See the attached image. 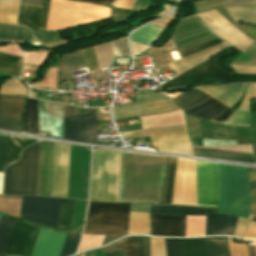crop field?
Returning a JSON list of instances; mask_svg holds the SVG:
<instances>
[{
  "label": "crop field",
  "instance_id": "obj_20",
  "mask_svg": "<svg viewBox=\"0 0 256 256\" xmlns=\"http://www.w3.org/2000/svg\"><path fill=\"white\" fill-rule=\"evenodd\" d=\"M216 208H202L190 206L175 205H151V214L161 215H205V213H214Z\"/></svg>",
  "mask_w": 256,
  "mask_h": 256
},
{
  "label": "crop field",
  "instance_id": "obj_19",
  "mask_svg": "<svg viewBox=\"0 0 256 256\" xmlns=\"http://www.w3.org/2000/svg\"><path fill=\"white\" fill-rule=\"evenodd\" d=\"M80 142L97 144L96 108L86 109V114H79Z\"/></svg>",
  "mask_w": 256,
  "mask_h": 256
},
{
  "label": "crop field",
  "instance_id": "obj_59",
  "mask_svg": "<svg viewBox=\"0 0 256 256\" xmlns=\"http://www.w3.org/2000/svg\"><path fill=\"white\" fill-rule=\"evenodd\" d=\"M251 111H256V99H251Z\"/></svg>",
  "mask_w": 256,
  "mask_h": 256
},
{
  "label": "crop field",
  "instance_id": "obj_1",
  "mask_svg": "<svg viewBox=\"0 0 256 256\" xmlns=\"http://www.w3.org/2000/svg\"><path fill=\"white\" fill-rule=\"evenodd\" d=\"M165 157L122 152L118 202L159 203Z\"/></svg>",
  "mask_w": 256,
  "mask_h": 256
},
{
  "label": "crop field",
  "instance_id": "obj_53",
  "mask_svg": "<svg viewBox=\"0 0 256 256\" xmlns=\"http://www.w3.org/2000/svg\"><path fill=\"white\" fill-rule=\"evenodd\" d=\"M247 220L238 218L234 236L243 237Z\"/></svg>",
  "mask_w": 256,
  "mask_h": 256
},
{
  "label": "crop field",
  "instance_id": "obj_30",
  "mask_svg": "<svg viewBox=\"0 0 256 256\" xmlns=\"http://www.w3.org/2000/svg\"><path fill=\"white\" fill-rule=\"evenodd\" d=\"M75 200L63 199L61 204L58 229L69 230L73 217Z\"/></svg>",
  "mask_w": 256,
  "mask_h": 256
},
{
  "label": "crop field",
  "instance_id": "obj_52",
  "mask_svg": "<svg viewBox=\"0 0 256 256\" xmlns=\"http://www.w3.org/2000/svg\"><path fill=\"white\" fill-rule=\"evenodd\" d=\"M236 217L227 216L226 223H225V230L224 235H232L234 234V227H235Z\"/></svg>",
  "mask_w": 256,
  "mask_h": 256
},
{
  "label": "crop field",
  "instance_id": "obj_51",
  "mask_svg": "<svg viewBox=\"0 0 256 256\" xmlns=\"http://www.w3.org/2000/svg\"><path fill=\"white\" fill-rule=\"evenodd\" d=\"M226 6L254 7L255 0H223Z\"/></svg>",
  "mask_w": 256,
  "mask_h": 256
},
{
  "label": "crop field",
  "instance_id": "obj_7",
  "mask_svg": "<svg viewBox=\"0 0 256 256\" xmlns=\"http://www.w3.org/2000/svg\"><path fill=\"white\" fill-rule=\"evenodd\" d=\"M234 82H256V75L236 74L235 72L229 75L211 61L207 60L170 80L160 86V88L163 89L194 84L219 85Z\"/></svg>",
  "mask_w": 256,
  "mask_h": 256
},
{
  "label": "crop field",
  "instance_id": "obj_14",
  "mask_svg": "<svg viewBox=\"0 0 256 256\" xmlns=\"http://www.w3.org/2000/svg\"><path fill=\"white\" fill-rule=\"evenodd\" d=\"M66 235L41 228L31 256H59Z\"/></svg>",
  "mask_w": 256,
  "mask_h": 256
},
{
  "label": "crop field",
  "instance_id": "obj_54",
  "mask_svg": "<svg viewBox=\"0 0 256 256\" xmlns=\"http://www.w3.org/2000/svg\"><path fill=\"white\" fill-rule=\"evenodd\" d=\"M136 0H117L113 7L125 8L131 10Z\"/></svg>",
  "mask_w": 256,
  "mask_h": 256
},
{
  "label": "crop field",
  "instance_id": "obj_63",
  "mask_svg": "<svg viewBox=\"0 0 256 256\" xmlns=\"http://www.w3.org/2000/svg\"><path fill=\"white\" fill-rule=\"evenodd\" d=\"M252 47H256V38H255V40H254V42L252 44Z\"/></svg>",
  "mask_w": 256,
  "mask_h": 256
},
{
  "label": "crop field",
  "instance_id": "obj_34",
  "mask_svg": "<svg viewBox=\"0 0 256 256\" xmlns=\"http://www.w3.org/2000/svg\"><path fill=\"white\" fill-rule=\"evenodd\" d=\"M214 38H217V37L215 35H213L209 30H207L202 33H199V34L184 38L182 40L176 41L175 43L177 45L178 50L180 51V50H183L188 47L206 42V41L214 39Z\"/></svg>",
  "mask_w": 256,
  "mask_h": 256
},
{
  "label": "crop field",
  "instance_id": "obj_12",
  "mask_svg": "<svg viewBox=\"0 0 256 256\" xmlns=\"http://www.w3.org/2000/svg\"><path fill=\"white\" fill-rule=\"evenodd\" d=\"M181 108L187 114L199 116L206 120L219 115L225 110L219 117L211 120L218 123L225 121L233 112L207 94Z\"/></svg>",
  "mask_w": 256,
  "mask_h": 256
},
{
  "label": "crop field",
  "instance_id": "obj_4",
  "mask_svg": "<svg viewBox=\"0 0 256 256\" xmlns=\"http://www.w3.org/2000/svg\"><path fill=\"white\" fill-rule=\"evenodd\" d=\"M111 19L106 6L51 0L46 30H62L78 24H90Z\"/></svg>",
  "mask_w": 256,
  "mask_h": 256
},
{
  "label": "crop field",
  "instance_id": "obj_17",
  "mask_svg": "<svg viewBox=\"0 0 256 256\" xmlns=\"http://www.w3.org/2000/svg\"><path fill=\"white\" fill-rule=\"evenodd\" d=\"M49 1L41 0L38 7L21 4L18 24H25L37 30H45Z\"/></svg>",
  "mask_w": 256,
  "mask_h": 256
},
{
  "label": "crop field",
  "instance_id": "obj_33",
  "mask_svg": "<svg viewBox=\"0 0 256 256\" xmlns=\"http://www.w3.org/2000/svg\"><path fill=\"white\" fill-rule=\"evenodd\" d=\"M162 30L163 28L148 25L132 33L130 40L150 45Z\"/></svg>",
  "mask_w": 256,
  "mask_h": 256
},
{
  "label": "crop field",
  "instance_id": "obj_29",
  "mask_svg": "<svg viewBox=\"0 0 256 256\" xmlns=\"http://www.w3.org/2000/svg\"><path fill=\"white\" fill-rule=\"evenodd\" d=\"M22 58L0 53V72L19 76Z\"/></svg>",
  "mask_w": 256,
  "mask_h": 256
},
{
  "label": "crop field",
  "instance_id": "obj_43",
  "mask_svg": "<svg viewBox=\"0 0 256 256\" xmlns=\"http://www.w3.org/2000/svg\"><path fill=\"white\" fill-rule=\"evenodd\" d=\"M104 256H125L124 238L105 247Z\"/></svg>",
  "mask_w": 256,
  "mask_h": 256
},
{
  "label": "crop field",
  "instance_id": "obj_13",
  "mask_svg": "<svg viewBox=\"0 0 256 256\" xmlns=\"http://www.w3.org/2000/svg\"><path fill=\"white\" fill-rule=\"evenodd\" d=\"M25 97L0 96V129L23 132L21 116Z\"/></svg>",
  "mask_w": 256,
  "mask_h": 256
},
{
  "label": "crop field",
  "instance_id": "obj_48",
  "mask_svg": "<svg viewBox=\"0 0 256 256\" xmlns=\"http://www.w3.org/2000/svg\"><path fill=\"white\" fill-rule=\"evenodd\" d=\"M231 256H248L247 248L244 244H236L232 242V238H228Z\"/></svg>",
  "mask_w": 256,
  "mask_h": 256
},
{
  "label": "crop field",
  "instance_id": "obj_44",
  "mask_svg": "<svg viewBox=\"0 0 256 256\" xmlns=\"http://www.w3.org/2000/svg\"><path fill=\"white\" fill-rule=\"evenodd\" d=\"M104 237L105 236H87V235H84L78 251H81L83 249L94 248V247L100 246L103 242Z\"/></svg>",
  "mask_w": 256,
  "mask_h": 256
},
{
  "label": "crop field",
  "instance_id": "obj_28",
  "mask_svg": "<svg viewBox=\"0 0 256 256\" xmlns=\"http://www.w3.org/2000/svg\"><path fill=\"white\" fill-rule=\"evenodd\" d=\"M129 234H149L148 214L130 212Z\"/></svg>",
  "mask_w": 256,
  "mask_h": 256
},
{
  "label": "crop field",
  "instance_id": "obj_2",
  "mask_svg": "<svg viewBox=\"0 0 256 256\" xmlns=\"http://www.w3.org/2000/svg\"><path fill=\"white\" fill-rule=\"evenodd\" d=\"M220 198L218 213L248 218L250 195L247 168L219 164Z\"/></svg>",
  "mask_w": 256,
  "mask_h": 256
},
{
  "label": "crop field",
  "instance_id": "obj_15",
  "mask_svg": "<svg viewBox=\"0 0 256 256\" xmlns=\"http://www.w3.org/2000/svg\"><path fill=\"white\" fill-rule=\"evenodd\" d=\"M186 216L151 215V235L185 236Z\"/></svg>",
  "mask_w": 256,
  "mask_h": 256
},
{
  "label": "crop field",
  "instance_id": "obj_25",
  "mask_svg": "<svg viewBox=\"0 0 256 256\" xmlns=\"http://www.w3.org/2000/svg\"><path fill=\"white\" fill-rule=\"evenodd\" d=\"M126 256H137V237L125 238ZM138 256H149V238L138 237Z\"/></svg>",
  "mask_w": 256,
  "mask_h": 256
},
{
  "label": "crop field",
  "instance_id": "obj_55",
  "mask_svg": "<svg viewBox=\"0 0 256 256\" xmlns=\"http://www.w3.org/2000/svg\"><path fill=\"white\" fill-rule=\"evenodd\" d=\"M245 238L256 239V223L249 221L248 229L245 233Z\"/></svg>",
  "mask_w": 256,
  "mask_h": 256
},
{
  "label": "crop field",
  "instance_id": "obj_10",
  "mask_svg": "<svg viewBox=\"0 0 256 256\" xmlns=\"http://www.w3.org/2000/svg\"><path fill=\"white\" fill-rule=\"evenodd\" d=\"M198 206L217 207L219 196L218 164L196 161Z\"/></svg>",
  "mask_w": 256,
  "mask_h": 256
},
{
  "label": "crop field",
  "instance_id": "obj_18",
  "mask_svg": "<svg viewBox=\"0 0 256 256\" xmlns=\"http://www.w3.org/2000/svg\"><path fill=\"white\" fill-rule=\"evenodd\" d=\"M31 228L29 225L15 221L4 254L22 256Z\"/></svg>",
  "mask_w": 256,
  "mask_h": 256
},
{
  "label": "crop field",
  "instance_id": "obj_31",
  "mask_svg": "<svg viewBox=\"0 0 256 256\" xmlns=\"http://www.w3.org/2000/svg\"><path fill=\"white\" fill-rule=\"evenodd\" d=\"M0 38L28 41L31 34L22 26L0 25Z\"/></svg>",
  "mask_w": 256,
  "mask_h": 256
},
{
  "label": "crop field",
  "instance_id": "obj_36",
  "mask_svg": "<svg viewBox=\"0 0 256 256\" xmlns=\"http://www.w3.org/2000/svg\"><path fill=\"white\" fill-rule=\"evenodd\" d=\"M26 86L20 80H10L3 83L0 94L25 95Z\"/></svg>",
  "mask_w": 256,
  "mask_h": 256
},
{
  "label": "crop field",
  "instance_id": "obj_26",
  "mask_svg": "<svg viewBox=\"0 0 256 256\" xmlns=\"http://www.w3.org/2000/svg\"><path fill=\"white\" fill-rule=\"evenodd\" d=\"M24 131L38 133L37 100L35 99H27L24 118Z\"/></svg>",
  "mask_w": 256,
  "mask_h": 256
},
{
  "label": "crop field",
  "instance_id": "obj_37",
  "mask_svg": "<svg viewBox=\"0 0 256 256\" xmlns=\"http://www.w3.org/2000/svg\"><path fill=\"white\" fill-rule=\"evenodd\" d=\"M13 222L5 217H0V254L4 253Z\"/></svg>",
  "mask_w": 256,
  "mask_h": 256
},
{
  "label": "crop field",
  "instance_id": "obj_24",
  "mask_svg": "<svg viewBox=\"0 0 256 256\" xmlns=\"http://www.w3.org/2000/svg\"><path fill=\"white\" fill-rule=\"evenodd\" d=\"M193 150H194V154L199 155V156H207V157H214V158L254 163L252 154L217 151V150H207V149H197V148H193Z\"/></svg>",
  "mask_w": 256,
  "mask_h": 256
},
{
  "label": "crop field",
  "instance_id": "obj_57",
  "mask_svg": "<svg viewBox=\"0 0 256 256\" xmlns=\"http://www.w3.org/2000/svg\"><path fill=\"white\" fill-rule=\"evenodd\" d=\"M77 1H84V2H91V3L109 5V4H111L114 0H77Z\"/></svg>",
  "mask_w": 256,
  "mask_h": 256
},
{
  "label": "crop field",
  "instance_id": "obj_27",
  "mask_svg": "<svg viewBox=\"0 0 256 256\" xmlns=\"http://www.w3.org/2000/svg\"><path fill=\"white\" fill-rule=\"evenodd\" d=\"M208 256H230L227 238H205Z\"/></svg>",
  "mask_w": 256,
  "mask_h": 256
},
{
  "label": "crop field",
  "instance_id": "obj_39",
  "mask_svg": "<svg viewBox=\"0 0 256 256\" xmlns=\"http://www.w3.org/2000/svg\"><path fill=\"white\" fill-rule=\"evenodd\" d=\"M248 174L251 195L250 215H253V220L256 221V169L248 168Z\"/></svg>",
  "mask_w": 256,
  "mask_h": 256
},
{
  "label": "crop field",
  "instance_id": "obj_56",
  "mask_svg": "<svg viewBox=\"0 0 256 256\" xmlns=\"http://www.w3.org/2000/svg\"><path fill=\"white\" fill-rule=\"evenodd\" d=\"M113 9H114L117 22L125 19L124 9H119V8H113Z\"/></svg>",
  "mask_w": 256,
  "mask_h": 256
},
{
  "label": "crop field",
  "instance_id": "obj_46",
  "mask_svg": "<svg viewBox=\"0 0 256 256\" xmlns=\"http://www.w3.org/2000/svg\"><path fill=\"white\" fill-rule=\"evenodd\" d=\"M221 42H223V41L221 39L217 38V39L211 40L209 42H206V43L191 47L189 49L180 51L179 53H180L181 57L183 58L185 56H188L190 54H193V53L198 52L200 50L206 49L208 47H211V46L216 45V44L221 43Z\"/></svg>",
  "mask_w": 256,
  "mask_h": 256
},
{
  "label": "crop field",
  "instance_id": "obj_11",
  "mask_svg": "<svg viewBox=\"0 0 256 256\" xmlns=\"http://www.w3.org/2000/svg\"><path fill=\"white\" fill-rule=\"evenodd\" d=\"M70 145L54 143L50 196L67 197Z\"/></svg>",
  "mask_w": 256,
  "mask_h": 256
},
{
  "label": "crop field",
  "instance_id": "obj_35",
  "mask_svg": "<svg viewBox=\"0 0 256 256\" xmlns=\"http://www.w3.org/2000/svg\"><path fill=\"white\" fill-rule=\"evenodd\" d=\"M205 216H187L186 236L204 235Z\"/></svg>",
  "mask_w": 256,
  "mask_h": 256
},
{
  "label": "crop field",
  "instance_id": "obj_8",
  "mask_svg": "<svg viewBox=\"0 0 256 256\" xmlns=\"http://www.w3.org/2000/svg\"><path fill=\"white\" fill-rule=\"evenodd\" d=\"M166 98L158 93L139 91L137 92V102L113 108L114 118H129L177 110L178 108Z\"/></svg>",
  "mask_w": 256,
  "mask_h": 256
},
{
  "label": "crop field",
  "instance_id": "obj_40",
  "mask_svg": "<svg viewBox=\"0 0 256 256\" xmlns=\"http://www.w3.org/2000/svg\"><path fill=\"white\" fill-rule=\"evenodd\" d=\"M79 237V234H68L60 256H69L73 254L75 252Z\"/></svg>",
  "mask_w": 256,
  "mask_h": 256
},
{
  "label": "crop field",
  "instance_id": "obj_61",
  "mask_svg": "<svg viewBox=\"0 0 256 256\" xmlns=\"http://www.w3.org/2000/svg\"><path fill=\"white\" fill-rule=\"evenodd\" d=\"M84 256H95L94 251L84 253Z\"/></svg>",
  "mask_w": 256,
  "mask_h": 256
},
{
  "label": "crop field",
  "instance_id": "obj_16",
  "mask_svg": "<svg viewBox=\"0 0 256 256\" xmlns=\"http://www.w3.org/2000/svg\"><path fill=\"white\" fill-rule=\"evenodd\" d=\"M167 256H207L204 238L165 239Z\"/></svg>",
  "mask_w": 256,
  "mask_h": 256
},
{
  "label": "crop field",
  "instance_id": "obj_64",
  "mask_svg": "<svg viewBox=\"0 0 256 256\" xmlns=\"http://www.w3.org/2000/svg\"><path fill=\"white\" fill-rule=\"evenodd\" d=\"M255 7H256V2H255Z\"/></svg>",
  "mask_w": 256,
  "mask_h": 256
},
{
  "label": "crop field",
  "instance_id": "obj_45",
  "mask_svg": "<svg viewBox=\"0 0 256 256\" xmlns=\"http://www.w3.org/2000/svg\"><path fill=\"white\" fill-rule=\"evenodd\" d=\"M204 94L205 93H202L200 91L189 90L188 92H186L172 100H174L181 107Z\"/></svg>",
  "mask_w": 256,
  "mask_h": 256
},
{
  "label": "crop field",
  "instance_id": "obj_50",
  "mask_svg": "<svg viewBox=\"0 0 256 256\" xmlns=\"http://www.w3.org/2000/svg\"><path fill=\"white\" fill-rule=\"evenodd\" d=\"M39 229L40 228H35V227L32 228V231H31V234H30V237H29V240H28V243H27V246H26L23 256H30L31 251L34 246V243H35V240H36V237L38 235Z\"/></svg>",
  "mask_w": 256,
  "mask_h": 256
},
{
  "label": "crop field",
  "instance_id": "obj_41",
  "mask_svg": "<svg viewBox=\"0 0 256 256\" xmlns=\"http://www.w3.org/2000/svg\"><path fill=\"white\" fill-rule=\"evenodd\" d=\"M150 256H166L164 238L150 237Z\"/></svg>",
  "mask_w": 256,
  "mask_h": 256
},
{
  "label": "crop field",
  "instance_id": "obj_47",
  "mask_svg": "<svg viewBox=\"0 0 256 256\" xmlns=\"http://www.w3.org/2000/svg\"><path fill=\"white\" fill-rule=\"evenodd\" d=\"M194 5L197 11L200 13L207 10H211L215 7L223 6V3L221 2V0H211L205 2H195Z\"/></svg>",
  "mask_w": 256,
  "mask_h": 256
},
{
  "label": "crop field",
  "instance_id": "obj_32",
  "mask_svg": "<svg viewBox=\"0 0 256 256\" xmlns=\"http://www.w3.org/2000/svg\"><path fill=\"white\" fill-rule=\"evenodd\" d=\"M226 216L218 214H206L205 236L223 235Z\"/></svg>",
  "mask_w": 256,
  "mask_h": 256
},
{
  "label": "crop field",
  "instance_id": "obj_38",
  "mask_svg": "<svg viewBox=\"0 0 256 256\" xmlns=\"http://www.w3.org/2000/svg\"><path fill=\"white\" fill-rule=\"evenodd\" d=\"M9 137L0 136V172L1 165L12 160L15 155L11 146L8 144Z\"/></svg>",
  "mask_w": 256,
  "mask_h": 256
},
{
  "label": "crop field",
  "instance_id": "obj_42",
  "mask_svg": "<svg viewBox=\"0 0 256 256\" xmlns=\"http://www.w3.org/2000/svg\"><path fill=\"white\" fill-rule=\"evenodd\" d=\"M175 164H176V159L171 158L164 203H171L172 185H173V179H174V173H175Z\"/></svg>",
  "mask_w": 256,
  "mask_h": 256
},
{
  "label": "crop field",
  "instance_id": "obj_60",
  "mask_svg": "<svg viewBox=\"0 0 256 256\" xmlns=\"http://www.w3.org/2000/svg\"><path fill=\"white\" fill-rule=\"evenodd\" d=\"M251 98H256V84L254 85L252 94H251Z\"/></svg>",
  "mask_w": 256,
  "mask_h": 256
},
{
  "label": "crop field",
  "instance_id": "obj_58",
  "mask_svg": "<svg viewBox=\"0 0 256 256\" xmlns=\"http://www.w3.org/2000/svg\"><path fill=\"white\" fill-rule=\"evenodd\" d=\"M40 0H22L21 3L37 6Z\"/></svg>",
  "mask_w": 256,
  "mask_h": 256
},
{
  "label": "crop field",
  "instance_id": "obj_5",
  "mask_svg": "<svg viewBox=\"0 0 256 256\" xmlns=\"http://www.w3.org/2000/svg\"><path fill=\"white\" fill-rule=\"evenodd\" d=\"M130 204L90 202L84 233L128 234Z\"/></svg>",
  "mask_w": 256,
  "mask_h": 256
},
{
  "label": "crop field",
  "instance_id": "obj_49",
  "mask_svg": "<svg viewBox=\"0 0 256 256\" xmlns=\"http://www.w3.org/2000/svg\"><path fill=\"white\" fill-rule=\"evenodd\" d=\"M151 50H152V52H153V54H154V56H155V58H156V60H157V62H158V64H159V66H162V65H165V64H167L168 62H167V60H166V58H165V56H164V54H163V51H162V49L161 48H158V49H153V48H151ZM150 50V51H151ZM151 52V53H152ZM152 54V55H153ZM153 56V57H154ZM154 58V59H155ZM155 60V61H156ZM156 62V63H157ZM157 64V65H158ZM169 64H167V65H165V66H168ZM158 66V67H159ZM165 66H163V67H165ZM169 67V66H168ZM162 68V67H161ZM165 68H167V67H165ZM165 68H162V69H165ZM171 67H169V68H167V69H170ZM159 69V68H158ZM162 69H159L158 71H160V70H162ZM167 69H165V70H167ZM165 70H162V71H165ZM170 70H172V69H170ZM170 70H168V71H170ZM162 71H160V72H162ZM168 71H166V72H168ZM159 73V72H158ZM163 73H165V72H163ZM163 73H159V75H161V74H163Z\"/></svg>",
  "mask_w": 256,
  "mask_h": 256
},
{
  "label": "crop field",
  "instance_id": "obj_23",
  "mask_svg": "<svg viewBox=\"0 0 256 256\" xmlns=\"http://www.w3.org/2000/svg\"><path fill=\"white\" fill-rule=\"evenodd\" d=\"M204 30L207 28L200 23L196 16L185 18L175 30L173 39L176 41Z\"/></svg>",
  "mask_w": 256,
  "mask_h": 256
},
{
  "label": "crop field",
  "instance_id": "obj_3",
  "mask_svg": "<svg viewBox=\"0 0 256 256\" xmlns=\"http://www.w3.org/2000/svg\"><path fill=\"white\" fill-rule=\"evenodd\" d=\"M121 152L93 151L90 200L117 202Z\"/></svg>",
  "mask_w": 256,
  "mask_h": 256
},
{
  "label": "crop field",
  "instance_id": "obj_62",
  "mask_svg": "<svg viewBox=\"0 0 256 256\" xmlns=\"http://www.w3.org/2000/svg\"><path fill=\"white\" fill-rule=\"evenodd\" d=\"M5 77H9V75L0 73V79H1V78H5Z\"/></svg>",
  "mask_w": 256,
  "mask_h": 256
},
{
  "label": "crop field",
  "instance_id": "obj_9",
  "mask_svg": "<svg viewBox=\"0 0 256 256\" xmlns=\"http://www.w3.org/2000/svg\"><path fill=\"white\" fill-rule=\"evenodd\" d=\"M61 199L23 196L20 218L57 228Z\"/></svg>",
  "mask_w": 256,
  "mask_h": 256
},
{
  "label": "crop field",
  "instance_id": "obj_6",
  "mask_svg": "<svg viewBox=\"0 0 256 256\" xmlns=\"http://www.w3.org/2000/svg\"><path fill=\"white\" fill-rule=\"evenodd\" d=\"M39 142L5 170L4 194H36Z\"/></svg>",
  "mask_w": 256,
  "mask_h": 256
},
{
  "label": "crop field",
  "instance_id": "obj_22",
  "mask_svg": "<svg viewBox=\"0 0 256 256\" xmlns=\"http://www.w3.org/2000/svg\"><path fill=\"white\" fill-rule=\"evenodd\" d=\"M84 67L86 66L81 49L73 53L62 55V61L59 70V81L72 78L73 76L71 75L70 70Z\"/></svg>",
  "mask_w": 256,
  "mask_h": 256
},
{
  "label": "crop field",
  "instance_id": "obj_21",
  "mask_svg": "<svg viewBox=\"0 0 256 256\" xmlns=\"http://www.w3.org/2000/svg\"><path fill=\"white\" fill-rule=\"evenodd\" d=\"M64 139L79 142L78 107L63 104Z\"/></svg>",
  "mask_w": 256,
  "mask_h": 256
}]
</instances>
